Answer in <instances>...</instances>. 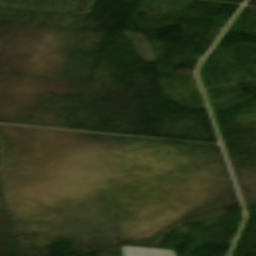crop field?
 <instances>
[{
	"label": "crop field",
	"instance_id": "obj_1",
	"mask_svg": "<svg viewBox=\"0 0 256 256\" xmlns=\"http://www.w3.org/2000/svg\"><path fill=\"white\" fill-rule=\"evenodd\" d=\"M123 256H176L174 251L147 249L138 247H122Z\"/></svg>",
	"mask_w": 256,
	"mask_h": 256
}]
</instances>
